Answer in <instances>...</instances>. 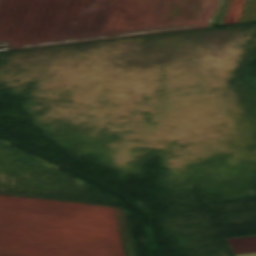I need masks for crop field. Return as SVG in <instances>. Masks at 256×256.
Listing matches in <instances>:
<instances>
[{"label": "crop field", "instance_id": "8a807250", "mask_svg": "<svg viewBox=\"0 0 256 256\" xmlns=\"http://www.w3.org/2000/svg\"><path fill=\"white\" fill-rule=\"evenodd\" d=\"M246 0H233L226 16L225 24L239 21Z\"/></svg>", "mask_w": 256, "mask_h": 256}]
</instances>
